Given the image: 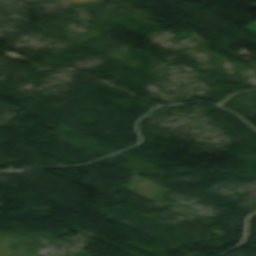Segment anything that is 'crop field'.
<instances>
[{
  "label": "crop field",
  "instance_id": "2",
  "mask_svg": "<svg viewBox=\"0 0 256 256\" xmlns=\"http://www.w3.org/2000/svg\"><path fill=\"white\" fill-rule=\"evenodd\" d=\"M256 5V4H255Z\"/></svg>",
  "mask_w": 256,
  "mask_h": 256
},
{
  "label": "crop field",
  "instance_id": "1",
  "mask_svg": "<svg viewBox=\"0 0 256 256\" xmlns=\"http://www.w3.org/2000/svg\"><path fill=\"white\" fill-rule=\"evenodd\" d=\"M253 32H256V21L250 24L249 26L245 27Z\"/></svg>",
  "mask_w": 256,
  "mask_h": 256
}]
</instances>
